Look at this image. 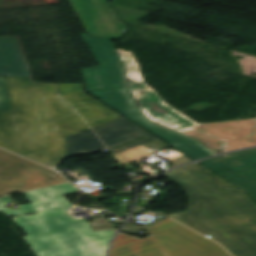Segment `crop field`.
<instances>
[{"instance_id":"crop-field-5","label":"crop field","mask_w":256,"mask_h":256,"mask_svg":"<svg viewBox=\"0 0 256 256\" xmlns=\"http://www.w3.org/2000/svg\"><path fill=\"white\" fill-rule=\"evenodd\" d=\"M67 140V157L109 149L121 166L170 147L124 117Z\"/></svg>"},{"instance_id":"crop-field-16","label":"crop field","mask_w":256,"mask_h":256,"mask_svg":"<svg viewBox=\"0 0 256 256\" xmlns=\"http://www.w3.org/2000/svg\"><path fill=\"white\" fill-rule=\"evenodd\" d=\"M0 111H11L5 77H0Z\"/></svg>"},{"instance_id":"crop-field-18","label":"crop field","mask_w":256,"mask_h":256,"mask_svg":"<svg viewBox=\"0 0 256 256\" xmlns=\"http://www.w3.org/2000/svg\"><path fill=\"white\" fill-rule=\"evenodd\" d=\"M140 230H141V228H137V227H133V226H129V225H126L121 229V231L127 232L132 235H135Z\"/></svg>"},{"instance_id":"crop-field-13","label":"crop field","mask_w":256,"mask_h":256,"mask_svg":"<svg viewBox=\"0 0 256 256\" xmlns=\"http://www.w3.org/2000/svg\"><path fill=\"white\" fill-rule=\"evenodd\" d=\"M109 256H167L150 238L135 239L121 232L118 233Z\"/></svg>"},{"instance_id":"crop-field-1","label":"crop field","mask_w":256,"mask_h":256,"mask_svg":"<svg viewBox=\"0 0 256 256\" xmlns=\"http://www.w3.org/2000/svg\"><path fill=\"white\" fill-rule=\"evenodd\" d=\"M191 197L189 213L170 218L220 243L234 256H256V205L199 164L164 174Z\"/></svg>"},{"instance_id":"crop-field-17","label":"crop field","mask_w":256,"mask_h":256,"mask_svg":"<svg viewBox=\"0 0 256 256\" xmlns=\"http://www.w3.org/2000/svg\"><path fill=\"white\" fill-rule=\"evenodd\" d=\"M93 231H104V230H115V226L105 221L103 218H95L93 222L90 223Z\"/></svg>"},{"instance_id":"crop-field-15","label":"crop field","mask_w":256,"mask_h":256,"mask_svg":"<svg viewBox=\"0 0 256 256\" xmlns=\"http://www.w3.org/2000/svg\"><path fill=\"white\" fill-rule=\"evenodd\" d=\"M11 201L9 197L0 198V211H3L7 216L16 217L39 212L31 204L20 206V210L17 211L9 210L5 204Z\"/></svg>"},{"instance_id":"crop-field-2","label":"crop field","mask_w":256,"mask_h":256,"mask_svg":"<svg viewBox=\"0 0 256 256\" xmlns=\"http://www.w3.org/2000/svg\"><path fill=\"white\" fill-rule=\"evenodd\" d=\"M12 112H0V146L55 168L66 147L53 121L74 114L59 98L56 84L6 77Z\"/></svg>"},{"instance_id":"crop-field-8","label":"crop field","mask_w":256,"mask_h":256,"mask_svg":"<svg viewBox=\"0 0 256 256\" xmlns=\"http://www.w3.org/2000/svg\"><path fill=\"white\" fill-rule=\"evenodd\" d=\"M146 231L169 256H230L218 244L168 218Z\"/></svg>"},{"instance_id":"crop-field-9","label":"crop field","mask_w":256,"mask_h":256,"mask_svg":"<svg viewBox=\"0 0 256 256\" xmlns=\"http://www.w3.org/2000/svg\"><path fill=\"white\" fill-rule=\"evenodd\" d=\"M65 181L53 170L0 149V196Z\"/></svg>"},{"instance_id":"crop-field-11","label":"crop field","mask_w":256,"mask_h":256,"mask_svg":"<svg viewBox=\"0 0 256 256\" xmlns=\"http://www.w3.org/2000/svg\"><path fill=\"white\" fill-rule=\"evenodd\" d=\"M89 34L120 40L127 26L118 21L111 6L102 0H68Z\"/></svg>"},{"instance_id":"crop-field-14","label":"crop field","mask_w":256,"mask_h":256,"mask_svg":"<svg viewBox=\"0 0 256 256\" xmlns=\"http://www.w3.org/2000/svg\"><path fill=\"white\" fill-rule=\"evenodd\" d=\"M250 133L219 134L203 138H197L201 143L213 152L219 151L222 140L227 142L226 151L243 147L255 146L256 142H247Z\"/></svg>"},{"instance_id":"crop-field-10","label":"crop field","mask_w":256,"mask_h":256,"mask_svg":"<svg viewBox=\"0 0 256 256\" xmlns=\"http://www.w3.org/2000/svg\"><path fill=\"white\" fill-rule=\"evenodd\" d=\"M201 163L244 189L256 201V148L218 156Z\"/></svg>"},{"instance_id":"crop-field-20","label":"crop field","mask_w":256,"mask_h":256,"mask_svg":"<svg viewBox=\"0 0 256 256\" xmlns=\"http://www.w3.org/2000/svg\"><path fill=\"white\" fill-rule=\"evenodd\" d=\"M106 1H109V0H106Z\"/></svg>"},{"instance_id":"crop-field-7","label":"crop field","mask_w":256,"mask_h":256,"mask_svg":"<svg viewBox=\"0 0 256 256\" xmlns=\"http://www.w3.org/2000/svg\"><path fill=\"white\" fill-rule=\"evenodd\" d=\"M57 86L62 101L76 113L55 121L61 135L68 136L120 116L85 94L82 84Z\"/></svg>"},{"instance_id":"crop-field-19","label":"crop field","mask_w":256,"mask_h":256,"mask_svg":"<svg viewBox=\"0 0 256 256\" xmlns=\"http://www.w3.org/2000/svg\"><path fill=\"white\" fill-rule=\"evenodd\" d=\"M249 141H256V122H255V126H254V128L252 130V133H251V135L249 137Z\"/></svg>"},{"instance_id":"crop-field-3","label":"crop field","mask_w":256,"mask_h":256,"mask_svg":"<svg viewBox=\"0 0 256 256\" xmlns=\"http://www.w3.org/2000/svg\"><path fill=\"white\" fill-rule=\"evenodd\" d=\"M76 192L65 183L22 194L41 214L13 220L37 256H105L115 231L93 232L86 220L69 216L72 205L62 195Z\"/></svg>"},{"instance_id":"crop-field-6","label":"crop field","mask_w":256,"mask_h":256,"mask_svg":"<svg viewBox=\"0 0 256 256\" xmlns=\"http://www.w3.org/2000/svg\"><path fill=\"white\" fill-rule=\"evenodd\" d=\"M122 60L125 61L130 88L136 101L141 103L140 108L144 115L154 122L189 135L191 137H203L219 133L251 132L255 119L225 121L216 123L197 124L189 118L175 111L163 102L150 88L145 86L140 78L139 66L131 52L117 50Z\"/></svg>"},{"instance_id":"crop-field-4","label":"crop field","mask_w":256,"mask_h":256,"mask_svg":"<svg viewBox=\"0 0 256 256\" xmlns=\"http://www.w3.org/2000/svg\"><path fill=\"white\" fill-rule=\"evenodd\" d=\"M80 34L100 65L81 70L90 94L196 160L214 155L199 141L166 129L146 118L136 104L128 85L125 64L122 63L111 40Z\"/></svg>"},{"instance_id":"crop-field-12","label":"crop field","mask_w":256,"mask_h":256,"mask_svg":"<svg viewBox=\"0 0 256 256\" xmlns=\"http://www.w3.org/2000/svg\"><path fill=\"white\" fill-rule=\"evenodd\" d=\"M0 75L32 77L18 37L0 38Z\"/></svg>"}]
</instances>
